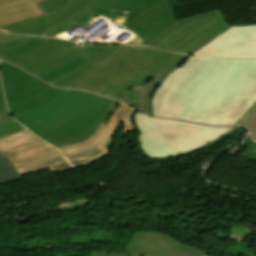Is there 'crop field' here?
<instances>
[{
  "label": "crop field",
  "mask_w": 256,
  "mask_h": 256,
  "mask_svg": "<svg viewBox=\"0 0 256 256\" xmlns=\"http://www.w3.org/2000/svg\"><path fill=\"white\" fill-rule=\"evenodd\" d=\"M38 6L44 16L0 28L54 36L101 14L132 30L139 46L192 55L230 27L219 9L176 21L167 0H47Z\"/></svg>",
  "instance_id": "obj_1"
},
{
  "label": "crop field",
  "mask_w": 256,
  "mask_h": 256,
  "mask_svg": "<svg viewBox=\"0 0 256 256\" xmlns=\"http://www.w3.org/2000/svg\"><path fill=\"white\" fill-rule=\"evenodd\" d=\"M152 115L245 124L256 140V59L191 57L155 89Z\"/></svg>",
  "instance_id": "obj_2"
},
{
  "label": "crop field",
  "mask_w": 256,
  "mask_h": 256,
  "mask_svg": "<svg viewBox=\"0 0 256 256\" xmlns=\"http://www.w3.org/2000/svg\"><path fill=\"white\" fill-rule=\"evenodd\" d=\"M118 46L74 45V43L66 41L29 37L5 44H2L0 41V58L10 63H15L36 76L66 64L80 56L88 59V62L75 70L49 82L59 87L68 88L99 67L95 63Z\"/></svg>",
  "instance_id": "obj_3"
},
{
  "label": "crop field",
  "mask_w": 256,
  "mask_h": 256,
  "mask_svg": "<svg viewBox=\"0 0 256 256\" xmlns=\"http://www.w3.org/2000/svg\"><path fill=\"white\" fill-rule=\"evenodd\" d=\"M135 122L140 129L141 148L152 159L172 157L199 148L233 129L151 118L139 111Z\"/></svg>",
  "instance_id": "obj_4"
},
{
  "label": "crop field",
  "mask_w": 256,
  "mask_h": 256,
  "mask_svg": "<svg viewBox=\"0 0 256 256\" xmlns=\"http://www.w3.org/2000/svg\"><path fill=\"white\" fill-rule=\"evenodd\" d=\"M151 62L153 61L133 47L120 45L96 63L100 66L99 68L70 88L85 89L106 96L128 82L129 75Z\"/></svg>",
  "instance_id": "obj_5"
},
{
  "label": "crop field",
  "mask_w": 256,
  "mask_h": 256,
  "mask_svg": "<svg viewBox=\"0 0 256 256\" xmlns=\"http://www.w3.org/2000/svg\"><path fill=\"white\" fill-rule=\"evenodd\" d=\"M98 96L87 92L68 90L53 102L30 112L12 115L36 135H41L75 116Z\"/></svg>",
  "instance_id": "obj_6"
},
{
  "label": "crop field",
  "mask_w": 256,
  "mask_h": 256,
  "mask_svg": "<svg viewBox=\"0 0 256 256\" xmlns=\"http://www.w3.org/2000/svg\"><path fill=\"white\" fill-rule=\"evenodd\" d=\"M110 103L111 100L99 97L75 117L40 138L54 147L80 142L97 129Z\"/></svg>",
  "instance_id": "obj_7"
},
{
  "label": "crop field",
  "mask_w": 256,
  "mask_h": 256,
  "mask_svg": "<svg viewBox=\"0 0 256 256\" xmlns=\"http://www.w3.org/2000/svg\"><path fill=\"white\" fill-rule=\"evenodd\" d=\"M133 47L145 54V56L154 62L142 70L133 73L129 76V78L132 79L131 81L107 96L138 105L141 86L144 85V83L152 77L156 71L168 75L171 71L179 67L187 56L162 50Z\"/></svg>",
  "instance_id": "obj_8"
},
{
  "label": "crop field",
  "mask_w": 256,
  "mask_h": 256,
  "mask_svg": "<svg viewBox=\"0 0 256 256\" xmlns=\"http://www.w3.org/2000/svg\"><path fill=\"white\" fill-rule=\"evenodd\" d=\"M193 55L256 58V25L230 27Z\"/></svg>",
  "instance_id": "obj_9"
},
{
  "label": "crop field",
  "mask_w": 256,
  "mask_h": 256,
  "mask_svg": "<svg viewBox=\"0 0 256 256\" xmlns=\"http://www.w3.org/2000/svg\"><path fill=\"white\" fill-rule=\"evenodd\" d=\"M42 142L41 139L25 130L1 139L0 154L6 155L15 169L61 156L52 146L47 143L42 144Z\"/></svg>",
  "instance_id": "obj_10"
},
{
  "label": "crop field",
  "mask_w": 256,
  "mask_h": 256,
  "mask_svg": "<svg viewBox=\"0 0 256 256\" xmlns=\"http://www.w3.org/2000/svg\"><path fill=\"white\" fill-rule=\"evenodd\" d=\"M125 253L148 256H203L208 252L181 244L165 234L136 230Z\"/></svg>",
  "instance_id": "obj_11"
},
{
  "label": "crop field",
  "mask_w": 256,
  "mask_h": 256,
  "mask_svg": "<svg viewBox=\"0 0 256 256\" xmlns=\"http://www.w3.org/2000/svg\"><path fill=\"white\" fill-rule=\"evenodd\" d=\"M0 75L7 103L27 99L50 87L2 61Z\"/></svg>",
  "instance_id": "obj_12"
},
{
  "label": "crop field",
  "mask_w": 256,
  "mask_h": 256,
  "mask_svg": "<svg viewBox=\"0 0 256 256\" xmlns=\"http://www.w3.org/2000/svg\"><path fill=\"white\" fill-rule=\"evenodd\" d=\"M135 110V108L119 103L116 111L114 112L109 122V124L113 125V127L105 141L99 147L91 151L82 154H77L72 157H68L67 160L70 162V164L73 165L74 167H78L105 156L109 152V150H107L105 147L111 140V137L116 127L120 126L122 120L124 121V129L122 132H131L135 130V127L130 122V117Z\"/></svg>",
  "instance_id": "obj_13"
},
{
  "label": "crop field",
  "mask_w": 256,
  "mask_h": 256,
  "mask_svg": "<svg viewBox=\"0 0 256 256\" xmlns=\"http://www.w3.org/2000/svg\"><path fill=\"white\" fill-rule=\"evenodd\" d=\"M45 0H14L0 5V26L43 15L36 4ZM4 31V30H0ZM8 32V31H4ZM11 33V32H8Z\"/></svg>",
  "instance_id": "obj_14"
},
{
  "label": "crop field",
  "mask_w": 256,
  "mask_h": 256,
  "mask_svg": "<svg viewBox=\"0 0 256 256\" xmlns=\"http://www.w3.org/2000/svg\"><path fill=\"white\" fill-rule=\"evenodd\" d=\"M66 91L67 90L50 87L32 98H29L23 101L9 103L7 104V106L11 114L30 111L38 106L44 105L58 98L59 96L64 94Z\"/></svg>",
  "instance_id": "obj_15"
},
{
  "label": "crop field",
  "mask_w": 256,
  "mask_h": 256,
  "mask_svg": "<svg viewBox=\"0 0 256 256\" xmlns=\"http://www.w3.org/2000/svg\"><path fill=\"white\" fill-rule=\"evenodd\" d=\"M111 127L112 126L110 125L101 124L95 133L85 141L64 147H58L57 149L64 157L93 149L104 141Z\"/></svg>",
  "instance_id": "obj_16"
},
{
  "label": "crop field",
  "mask_w": 256,
  "mask_h": 256,
  "mask_svg": "<svg viewBox=\"0 0 256 256\" xmlns=\"http://www.w3.org/2000/svg\"><path fill=\"white\" fill-rule=\"evenodd\" d=\"M72 168L63 156L57 157L51 160H47L41 163H37L31 166H27L21 169H17L20 175L38 172L49 169L50 173L58 172L64 169Z\"/></svg>",
  "instance_id": "obj_17"
},
{
  "label": "crop field",
  "mask_w": 256,
  "mask_h": 256,
  "mask_svg": "<svg viewBox=\"0 0 256 256\" xmlns=\"http://www.w3.org/2000/svg\"><path fill=\"white\" fill-rule=\"evenodd\" d=\"M161 73L156 72L154 76L149 79L144 86L141 88V93L139 97V106L142 110H144L147 114L151 115L150 108V99L154 89L160 83V81L165 77Z\"/></svg>",
  "instance_id": "obj_18"
},
{
  "label": "crop field",
  "mask_w": 256,
  "mask_h": 256,
  "mask_svg": "<svg viewBox=\"0 0 256 256\" xmlns=\"http://www.w3.org/2000/svg\"><path fill=\"white\" fill-rule=\"evenodd\" d=\"M21 179L9 159L0 155V184Z\"/></svg>",
  "instance_id": "obj_19"
},
{
  "label": "crop field",
  "mask_w": 256,
  "mask_h": 256,
  "mask_svg": "<svg viewBox=\"0 0 256 256\" xmlns=\"http://www.w3.org/2000/svg\"><path fill=\"white\" fill-rule=\"evenodd\" d=\"M86 61H88V60L80 57V58H78V59H76V60H74V61H72V62H70L66 65H63L59 68H56L52 71H49L45 74H42V75L38 76V77L48 82V81H50V80H52V79H54V78H56V77H58V76H60L64 73L80 66L81 64H83Z\"/></svg>",
  "instance_id": "obj_20"
},
{
  "label": "crop field",
  "mask_w": 256,
  "mask_h": 256,
  "mask_svg": "<svg viewBox=\"0 0 256 256\" xmlns=\"http://www.w3.org/2000/svg\"><path fill=\"white\" fill-rule=\"evenodd\" d=\"M0 111H8L6 106H5V101H4V97H3V91H2V86H1V82H0ZM25 128L23 126H21L20 124L16 125V126H12L6 129H2L0 130V138L5 137L7 135L13 134L15 132L18 131H22Z\"/></svg>",
  "instance_id": "obj_21"
},
{
  "label": "crop field",
  "mask_w": 256,
  "mask_h": 256,
  "mask_svg": "<svg viewBox=\"0 0 256 256\" xmlns=\"http://www.w3.org/2000/svg\"><path fill=\"white\" fill-rule=\"evenodd\" d=\"M18 124L8 112H0V128H6Z\"/></svg>",
  "instance_id": "obj_22"
},
{
  "label": "crop field",
  "mask_w": 256,
  "mask_h": 256,
  "mask_svg": "<svg viewBox=\"0 0 256 256\" xmlns=\"http://www.w3.org/2000/svg\"><path fill=\"white\" fill-rule=\"evenodd\" d=\"M117 105H118V102L112 101V103H111V105H110V107H109V109H108V111H107V113H106L102 123L108 124V122H109L113 112L115 111Z\"/></svg>",
  "instance_id": "obj_23"
},
{
  "label": "crop field",
  "mask_w": 256,
  "mask_h": 256,
  "mask_svg": "<svg viewBox=\"0 0 256 256\" xmlns=\"http://www.w3.org/2000/svg\"><path fill=\"white\" fill-rule=\"evenodd\" d=\"M24 37H27V36H19V35H11V34L0 33V40L2 41V43L12 41V40H16V39H20V38H24Z\"/></svg>",
  "instance_id": "obj_24"
},
{
  "label": "crop field",
  "mask_w": 256,
  "mask_h": 256,
  "mask_svg": "<svg viewBox=\"0 0 256 256\" xmlns=\"http://www.w3.org/2000/svg\"><path fill=\"white\" fill-rule=\"evenodd\" d=\"M91 256H129V255L103 254V253L93 252Z\"/></svg>",
  "instance_id": "obj_25"
},
{
  "label": "crop field",
  "mask_w": 256,
  "mask_h": 256,
  "mask_svg": "<svg viewBox=\"0 0 256 256\" xmlns=\"http://www.w3.org/2000/svg\"><path fill=\"white\" fill-rule=\"evenodd\" d=\"M11 0H0V4Z\"/></svg>",
  "instance_id": "obj_26"
},
{
  "label": "crop field",
  "mask_w": 256,
  "mask_h": 256,
  "mask_svg": "<svg viewBox=\"0 0 256 256\" xmlns=\"http://www.w3.org/2000/svg\"><path fill=\"white\" fill-rule=\"evenodd\" d=\"M207 256H209V255H207Z\"/></svg>",
  "instance_id": "obj_27"
}]
</instances>
